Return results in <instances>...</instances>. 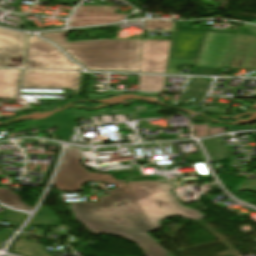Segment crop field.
Returning <instances> with one entry per match:
<instances>
[{
  "mask_svg": "<svg viewBox=\"0 0 256 256\" xmlns=\"http://www.w3.org/2000/svg\"><path fill=\"white\" fill-rule=\"evenodd\" d=\"M252 159H256V157H251Z\"/></svg>",
  "mask_w": 256,
  "mask_h": 256,
  "instance_id": "obj_25",
  "label": "crop field"
},
{
  "mask_svg": "<svg viewBox=\"0 0 256 256\" xmlns=\"http://www.w3.org/2000/svg\"><path fill=\"white\" fill-rule=\"evenodd\" d=\"M195 137H202V136H211L218 133L225 132L223 127L220 128H208V124H201V125H192Z\"/></svg>",
  "mask_w": 256,
  "mask_h": 256,
  "instance_id": "obj_17",
  "label": "crop field"
},
{
  "mask_svg": "<svg viewBox=\"0 0 256 256\" xmlns=\"http://www.w3.org/2000/svg\"><path fill=\"white\" fill-rule=\"evenodd\" d=\"M171 41L144 40L140 72L165 73Z\"/></svg>",
  "mask_w": 256,
  "mask_h": 256,
  "instance_id": "obj_10",
  "label": "crop field"
},
{
  "mask_svg": "<svg viewBox=\"0 0 256 256\" xmlns=\"http://www.w3.org/2000/svg\"><path fill=\"white\" fill-rule=\"evenodd\" d=\"M57 219L53 213L46 207H41L40 210L35 214L32 221H41V220H53Z\"/></svg>",
  "mask_w": 256,
  "mask_h": 256,
  "instance_id": "obj_18",
  "label": "crop field"
},
{
  "mask_svg": "<svg viewBox=\"0 0 256 256\" xmlns=\"http://www.w3.org/2000/svg\"><path fill=\"white\" fill-rule=\"evenodd\" d=\"M67 33L68 31L41 36L57 43L87 69L139 72L143 41L67 42Z\"/></svg>",
  "mask_w": 256,
  "mask_h": 256,
  "instance_id": "obj_2",
  "label": "crop field"
},
{
  "mask_svg": "<svg viewBox=\"0 0 256 256\" xmlns=\"http://www.w3.org/2000/svg\"><path fill=\"white\" fill-rule=\"evenodd\" d=\"M236 190H251L256 192V179L246 180L242 184H240L238 187H236Z\"/></svg>",
  "mask_w": 256,
  "mask_h": 256,
  "instance_id": "obj_21",
  "label": "crop field"
},
{
  "mask_svg": "<svg viewBox=\"0 0 256 256\" xmlns=\"http://www.w3.org/2000/svg\"><path fill=\"white\" fill-rule=\"evenodd\" d=\"M165 77L140 75L139 90L163 91Z\"/></svg>",
  "mask_w": 256,
  "mask_h": 256,
  "instance_id": "obj_16",
  "label": "crop field"
},
{
  "mask_svg": "<svg viewBox=\"0 0 256 256\" xmlns=\"http://www.w3.org/2000/svg\"><path fill=\"white\" fill-rule=\"evenodd\" d=\"M113 6H79L69 22L71 27L91 24L110 23L122 20L127 14H115Z\"/></svg>",
  "mask_w": 256,
  "mask_h": 256,
  "instance_id": "obj_9",
  "label": "crop field"
},
{
  "mask_svg": "<svg viewBox=\"0 0 256 256\" xmlns=\"http://www.w3.org/2000/svg\"><path fill=\"white\" fill-rule=\"evenodd\" d=\"M75 125L69 111L52 115L44 120L36 122V124L23 128H34V127H56L59 137L61 140L67 141L71 134V126Z\"/></svg>",
  "mask_w": 256,
  "mask_h": 256,
  "instance_id": "obj_11",
  "label": "crop field"
},
{
  "mask_svg": "<svg viewBox=\"0 0 256 256\" xmlns=\"http://www.w3.org/2000/svg\"><path fill=\"white\" fill-rule=\"evenodd\" d=\"M81 158L82 156L78 149H67L62 166L54 182L58 190H69L70 192L83 191L79 184L88 181L109 182L116 187L123 184V180H116L110 174H97L85 170L79 163Z\"/></svg>",
  "mask_w": 256,
  "mask_h": 256,
  "instance_id": "obj_4",
  "label": "crop field"
},
{
  "mask_svg": "<svg viewBox=\"0 0 256 256\" xmlns=\"http://www.w3.org/2000/svg\"><path fill=\"white\" fill-rule=\"evenodd\" d=\"M0 201L18 209L30 210L34 208L23 203L20 196L9 189H0Z\"/></svg>",
  "mask_w": 256,
  "mask_h": 256,
  "instance_id": "obj_15",
  "label": "crop field"
},
{
  "mask_svg": "<svg viewBox=\"0 0 256 256\" xmlns=\"http://www.w3.org/2000/svg\"><path fill=\"white\" fill-rule=\"evenodd\" d=\"M25 35L0 29V67L22 64Z\"/></svg>",
  "mask_w": 256,
  "mask_h": 256,
  "instance_id": "obj_8",
  "label": "crop field"
},
{
  "mask_svg": "<svg viewBox=\"0 0 256 256\" xmlns=\"http://www.w3.org/2000/svg\"><path fill=\"white\" fill-rule=\"evenodd\" d=\"M222 138H225V137H222ZM217 139H220V138H217ZM217 139L202 141V144L205 150L207 151V153L211 158L210 163L215 162L221 158L230 156L227 150L221 145V143Z\"/></svg>",
  "mask_w": 256,
  "mask_h": 256,
  "instance_id": "obj_14",
  "label": "crop field"
},
{
  "mask_svg": "<svg viewBox=\"0 0 256 256\" xmlns=\"http://www.w3.org/2000/svg\"><path fill=\"white\" fill-rule=\"evenodd\" d=\"M127 186L155 227L160 228V221L171 216L180 215L198 220L205 216L193 209L184 208L170 190L169 183L161 181L131 182Z\"/></svg>",
  "mask_w": 256,
  "mask_h": 256,
  "instance_id": "obj_3",
  "label": "crop field"
},
{
  "mask_svg": "<svg viewBox=\"0 0 256 256\" xmlns=\"http://www.w3.org/2000/svg\"><path fill=\"white\" fill-rule=\"evenodd\" d=\"M13 234V230L6 229L0 232V245Z\"/></svg>",
  "mask_w": 256,
  "mask_h": 256,
  "instance_id": "obj_23",
  "label": "crop field"
},
{
  "mask_svg": "<svg viewBox=\"0 0 256 256\" xmlns=\"http://www.w3.org/2000/svg\"><path fill=\"white\" fill-rule=\"evenodd\" d=\"M4 221L9 224L10 226H13V227H19L21 225V223L23 221H18V220H14V219H10V218H4Z\"/></svg>",
  "mask_w": 256,
  "mask_h": 256,
  "instance_id": "obj_24",
  "label": "crop field"
},
{
  "mask_svg": "<svg viewBox=\"0 0 256 256\" xmlns=\"http://www.w3.org/2000/svg\"><path fill=\"white\" fill-rule=\"evenodd\" d=\"M36 241L17 239L13 252L23 256H51Z\"/></svg>",
  "mask_w": 256,
  "mask_h": 256,
  "instance_id": "obj_13",
  "label": "crop field"
},
{
  "mask_svg": "<svg viewBox=\"0 0 256 256\" xmlns=\"http://www.w3.org/2000/svg\"><path fill=\"white\" fill-rule=\"evenodd\" d=\"M62 225L59 220L57 221H48V222H36V223H30L28 226L23 230L27 232H31V229L33 226H41L43 228L51 227V226H60Z\"/></svg>",
  "mask_w": 256,
  "mask_h": 256,
  "instance_id": "obj_20",
  "label": "crop field"
},
{
  "mask_svg": "<svg viewBox=\"0 0 256 256\" xmlns=\"http://www.w3.org/2000/svg\"><path fill=\"white\" fill-rule=\"evenodd\" d=\"M106 194L99 202L72 203L70 210L92 233L121 235L134 241L147 256H166L168 253L146 233L154 227L126 184Z\"/></svg>",
  "mask_w": 256,
  "mask_h": 256,
  "instance_id": "obj_1",
  "label": "crop field"
},
{
  "mask_svg": "<svg viewBox=\"0 0 256 256\" xmlns=\"http://www.w3.org/2000/svg\"><path fill=\"white\" fill-rule=\"evenodd\" d=\"M25 67L55 68V69H80L70 62L55 46L38 39L29 37Z\"/></svg>",
  "mask_w": 256,
  "mask_h": 256,
  "instance_id": "obj_5",
  "label": "crop field"
},
{
  "mask_svg": "<svg viewBox=\"0 0 256 256\" xmlns=\"http://www.w3.org/2000/svg\"><path fill=\"white\" fill-rule=\"evenodd\" d=\"M222 68L256 69V37L237 34Z\"/></svg>",
  "mask_w": 256,
  "mask_h": 256,
  "instance_id": "obj_7",
  "label": "crop field"
},
{
  "mask_svg": "<svg viewBox=\"0 0 256 256\" xmlns=\"http://www.w3.org/2000/svg\"><path fill=\"white\" fill-rule=\"evenodd\" d=\"M80 72L25 70L23 87L79 90Z\"/></svg>",
  "mask_w": 256,
  "mask_h": 256,
  "instance_id": "obj_6",
  "label": "crop field"
},
{
  "mask_svg": "<svg viewBox=\"0 0 256 256\" xmlns=\"http://www.w3.org/2000/svg\"><path fill=\"white\" fill-rule=\"evenodd\" d=\"M21 70H0V99L16 97Z\"/></svg>",
  "mask_w": 256,
  "mask_h": 256,
  "instance_id": "obj_12",
  "label": "crop field"
},
{
  "mask_svg": "<svg viewBox=\"0 0 256 256\" xmlns=\"http://www.w3.org/2000/svg\"><path fill=\"white\" fill-rule=\"evenodd\" d=\"M171 27H172V21H159V20L146 21V29L162 28L163 30H170Z\"/></svg>",
  "mask_w": 256,
  "mask_h": 256,
  "instance_id": "obj_19",
  "label": "crop field"
},
{
  "mask_svg": "<svg viewBox=\"0 0 256 256\" xmlns=\"http://www.w3.org/2000/svg\"><path fill=\"white\" fill-rule=\"evenodd\" d=\"M4 216L5 217H14V218L22 219V220H25V218L27 217L26 214H21L19 212L11 211L8 209H5Z\"/></svg>",
  "mask_w": 256,
  "mask_h": 256,
  "instance_id": "obj_22",
  "label": "crop field"
},
{
  "mask_svg": "<svg viewBox=\"0 0 256 256\" xmlns=\"http://www.w3.org/2000/svg\"><path fill=\"white\" fill-rule=\"evenodd\" d=\"M0 175H2L1 172H0Z\"/></svg>",
  "mask_w": 256,
  "mask_h": 256,
  "instance_id": "obj_26",
  "label": "crop field"
}]
</instances>
